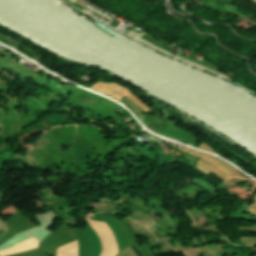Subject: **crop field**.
<instances>
[{
  "mask_svg": "<svg viewBox=\"0 0 256 256\" xmlns=\"http://www.w3.org/2000/svg\"><path fill=\"white\" fill-rule=\"evenodd\" d=\"M185 120H186V122H188L189 124H191V125H193V126L199 128V129H201V130L207 132V133H208L209 135H211L213 138H215L216 140H218L219 142H221L223 145H225L227 148L233 150L234 152H236V153L242 155L243 157H245V158H247V159H249V160H251V161L255 159L254 157L250 156V155L247 154L246 152L242 151L243 149H242V150H240L241 148L238 149L239 147L237 148V147H236L235 145H233L231 142L227 141L226 139H224L223 137L219 136L218 134L212 132L211 130L205 128L204 126L198 124L197 122L193 121L192 119H190V118L187 117V118H185ZM251 161H250V162H251Z\"/></svg>",
  "mask_w": 256,
  "mask_h": 256,
  "instance_id": "1",
  "label": "crop field"
},
{
  "mask_svg": "<svg viewBox=\"0 0 256 256\" xmlns=\"http://www.w3.org/2000/svg\"><path fill=\"white\" fill-rule=\"evenodd\" d=\"M0 235H1V233H0Z\"/></svg>",
  "mask_w": 256,
  "mask_h": 256,
  "instance_id": "2",
  "label": "crop field"
}]
</instances>
